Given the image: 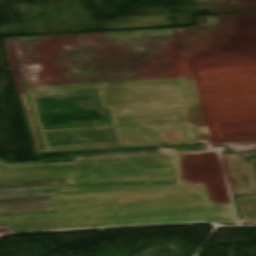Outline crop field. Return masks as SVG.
<instances>
[{"instance_id": "1", "label": "crop field", "mask_w": 256, "mask_h": 256, "mask_svg": "<svg viewBox=\"0 0 256 256\" xmlns=\"http://www.w3.org/2000/svg\"><path fill=\"white\" fill-rule=\"evenodd\" d=\"M45 197L0 200L13 232L214 219L234 224L228 195L181 186L123 188L121 180L41 184Z\"/></svg>"}, {"instance_id": "2", "label": "crop field", "mask_w": 256, "mask_h": 256, "mask_svg": "<svg viewBox=\"0 0 256 256\" xmlns=\"http://www.w3.org/2000/svg\"><path fill=\"white\" fill-rule=\"evenodd\" d=\"M26 88L45 148V150L42 148L31 108L23 107L38 153L169 146L183 143L182 136L185 128L183 115H185L188 110L190 102L180 78L114 83L35 86ZM35 92H39V94L33 95L32 93ZM88 93H99L103 109H109L110 111L118 143L108 144L132 143L133 145L49 150V148L90 145L57 147H48V145L116 141L114 133L45 137L52 135L113 131L105 130L44 134V132L53 131L112 128V126H104L43 130L34 96ZM105 98H112L113 100H105ZM109 101H113V103L105 104V102ZM106 105H111V107H107ZM120 117H125V119H115ZM122 120H128V122H116ZM163 132H175V140L166 139ZM52 138H59V140H46ZM54 141H62V143H47Z\"/></svg>"}, {"instance_id": "3", "label": "crop field", "mask_w": 256, "mask_h": 256, "mask_svg": "<svg viewBox=\"0 0 256 256\" xmlns=\"http://www.w3.org/2000/svg\"><path fill=\"white\" fill-rule=\"evenodd\" d=\"M205 146L77 153L41 157L39 161L10 163L0 159V179L82 174L76 164L94 179H108L97 166L155 163L179 160L181 154L203 152Z\"/></svg>"}, {"instance_id": "4", "label": "crop field", "mask_w": 256, "mask_h": 256, "mask_svg": "<svg viewBox=\"0 0 256 256\" xmlns=\"http://www.w3.org/2000/svg\"><path fill=\"white\" fill-rule=\"evenodd\" d=\"M180 176L181 186L207 194H228L220 158L211 145H206L204 153L182 155Z\"/></svg>"}, {"instance_id": "5", "label": "crop field", "mask_w": 256, "mask_h": 256, "mask_svg": "<svg viewBox=\"0 0 256 256\" xmlns=\"http://www.w3.org/2000/svg\"><path fill=\"white\" fill-rule=\"evenodd\" d=\"M232 184L240 217L244 224L256 223V172L252 161L244 162L243 155L223 156ZM255 166H256V161ZM240 196L250 207L247 218Z\"/></svg>"}, {"instance_id": "6", "label": "crop field", "mask_w": 256, "mask_h": 256, "mask_svg": "<svg viewBox=\"0 0 256 256\" xmlns=\"http://www.w3.org/2000/svg\"><path fill=\"white\" fill-rule=\"evenodd\" d=\"M191 102L185 118L184 143L210 142L193 78H181Z\"/></svg>"}, {"instance_id": "7", "label": "crop field", "mask_w": 256, "mask_h": 256, "mask_svg": "<svg viewBox=\"0 0 256 256\" xmlns=\"http://www.w3.org/2000/svg\"><path fill=\"white\" fill-rule=\"evenodd\" d=\"M74 166L77 169H79L84 175L38 177V178H20V179H2L0 181H16V180H31V179H47V178L89 176L84 171H82L79 167H77L76 165H74ZM62 181H75V180L74 179H66V180H50V181H34V182L1 183L0 184V199H2V198L44 196L40 183L62 182Z\"/></svg>"}, {"instance_id": "8", "label": "crop field", "mask_w": 256, "mask_h": 256, "mask_svg": "<svg viewBox=\"0 0 256 256\" xmlns=\"http://www.w3.org/2000/svg\"><path fill=\"white\" fill-rule=\"evenodd\" d=\"M124 187L181 185L180 176L121 179Z\"/></svg>"}, {"instance_id": "9", "label": "crop field", "mask_w": 256, "mask_h": 256, "mask_svg": "<svg viewBox=\"0 0 256 256\" xmlns=\"http://www.w3.org/2000/svg\"><path fill=\"white\" fill-rule=\"evenodd\" d=\"M146 166H155L154 164H140V165H120V166H102L100 168H111V171H125V170H144V169H159L167 168V170H156V171H137V172H122V173H110V175L116 174H130V173H148V172H166V171H175L176 175L179 174V161L175 162L174 168L170 166L166 167H147V168H127V167H146ZM117 168H127V169H117ZM107 172V171H104Z\"/></svg>"}, {"instance_id": "10", "label": "crop field", "mask_w": 256, "mask_h": 256, "mask_svg": "<svg viewBox=\"0 0 256 256\" xmlns=\"http://www.w3.org/2000/svg\"><path fill=\"white\" fill-rule=\"evenodd\" d=\"M228 151L256 150V142L223 144Z\"/></svg>"}]
</instances>
